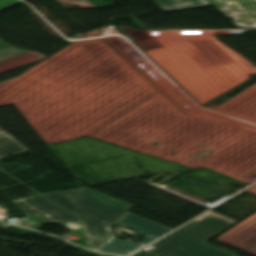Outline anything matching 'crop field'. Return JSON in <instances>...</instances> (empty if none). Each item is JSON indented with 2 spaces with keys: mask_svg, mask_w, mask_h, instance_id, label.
I'll list each match as a JSON object with an SVG mask.
<instances>
[{
  "mask_svg": "<svg viewBox=\"0 0 256 256\" xmlns=\"http://www.w3.org/2000/svg\"><path fill=\"white\" fill-rule=\"evenodd\" d=\"M21 3L20 0H0V10Z\"/></svg>",
  "mask_w": 256,
  "mask_h": 256,
  "instance_id": "crop-field-10",
  "label": "crop field"
},
{
  "mask_svg": "<svg viewBox=\"0 0 256 256\" xmlns=\"http://www.w3.org/2000/svg\"><path fill=\"white\" fill-rule=\"evenodd\" d=\"M28 151L10 135L0 137V158Z\"/></svg>",
  "mask_w": 256,
  "mask_h": 256,
  "instance_id": "crop-field-8",
  "label": "crop field"
},
{
  "mask_svg": "<svg viewBox=\"0 0 256 256\" xmlns=\"http://www.w3.org/2000/svg\"><path fill=\"white\" fill-rule=\"evenodd\" d=\"M238 28H256V0H209Z\"/></svg>",
  "mask_w": 256,
  "mask_h": 256,
  "instance_id": "crop-field-5",
  "label": "crop field"
},
{
  "mask_svg": "<svg viewBox=\"0 0 256 256\" xmlns=\"http://www.w3.org/2000/svg\"><path fill=\"white\" fill-rule=\"evenodd\" d=\"M164 12L209 5L208 0H153Z\"/></svg>",
  "mask_w": 256,
  "mask_h": 256,
  "instance_id": "crop-field-6",
  "label": "crop field"
},
{
  "mask_svg": "<svg viewBox=\"0 0 256 256\" xmlns=\"http://www.w3.org/2000/svg\"><path fill=\"white\" fill-rule=\"evenodd\" d=\"M115 223L147 235L142 245L113 237L96 251L128 256L172 230L128 212Z\"/></svg>",
  "mask_w": 256,
  "mask_h": 256,
  "instance_id": "crop-field-3",
  "label": "crop field"
},
{
  "mask_svg": "<svg viewBox=\"0 0 256 256\" xmlns=\"http://www.w3.org/2000/svg\"><path fill=\"white\" fill-rule=\"evenodd\" d=\"M5 46H8L5 42H3L2 40H0V48H3Z\"/></svg>",
  "mask_w": 256,
  "mask_h": 256,
  "instance_id": "crop-field-11",
  "label": "crop field"
},
{
  "mask_svg": "<svg viewBox=\"0 0 256 256\" xmlns=\"http://www.w3.org/2000/svg\"><path fill=\"white\" fill-rule=\"evenodd\" d=\"M44 196L79 216L89 242L87 248L92 250L112 236L111 225L133 207L87 188L44 194Z\"/></svg>",
  "mask_w": 256,
  "mask_h": 256,
  "instance_id": "crop-field-1",
  "label": "crop field"
},
{
  "mask_svg": "<svg viewBox=\"0 0 256 256\" xmlns=\"http://www.w3.org/2000/svg\"><path fill=\"white\" fill-rule=\"evenodd\" d=\"M24 52H27V51L17 49L11 46L5 47L3 49H0V61L22 54ZM7 134L8 133H6L4 130L0 128V136L7 135Z\"/></svg>",
  "mask_w": 256,
  "mask_h": 256,
  "instance_id": "crop-field-9",
  "label": "crop field"
},
{
  "mask_svg": "<svg viewBox=\"0 0 256 256\" xmlns=\"http://www.w3.org/2000/svg\"><path fill=\"white\" fill-rule=\"evenodd\" d=\"M42 58H45V56L27 52L22 55L13 57L11 59L2 61L0 62V74L15 69L17 67L26 65L28 63L40 60Z\"/></svg>",
  "mask_w": 256,
  "mask_h": 256,
  "instance_id": "crop-field-7",
  "label": "crop field"
},
{
  "mask_svg": "<svg viewBox=\"0 0 256 256\" xmlns=\"http://www.w3.org/2000/svg\"><path fill=\"white\" fill-rule=\"evenodd\" d=\"M25 217L41 214L50 224L73 231L79 228L77 217L41 196L12 201Z\"/></svg>",
  "mask_w": 256,
  "mask_h": 256,
  "instance_id": "crop-field-4",
  "label": "crop field"
},
{
  "mask_svg": "<svg viewBox=\"0 0 256 256\" xmlns=\"http://www.w3.org/2000/svg\"><path fill=\"white\" fill-rule=\"evenodd\" d=\"M235 223L236 220L210 211L152 244L154 248L133 256H235V253L206 243Z\"/></svg>",
  "mask_w": 256,
  "mask_h": 256,
  "instance_id": "crop-field-2",
  "label": "crop field"
}]
</instances>
